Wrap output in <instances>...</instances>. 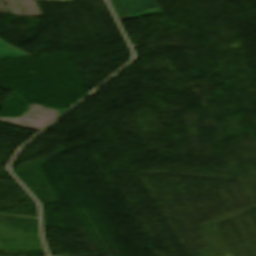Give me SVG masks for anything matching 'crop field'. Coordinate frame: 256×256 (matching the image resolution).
<instances>
[{
    "label": "crop field",
    "mask_w": 256,
    "mask_h": 256,
    "mask_svg": "<svg viewBox=\"0 0 256 256\" xmlns=\"http://www.w3.org/2000/svg\"><path fill=\"white\" fill-rule=\"evenodd\" d=\"M118 19L162 13L156 0H109Z\"/></svg>",
    "instance_id": "obj_1"
},
{
    "label": "crop field",
    "mask_w": 256,
    "mask_h": 256,
    "mask_svg": "<svg viewBox=\"0 0 256 256\" xmlns=\"http://www.w3.org/2000/svg\"><path fill=\"white\" fill-rule=\"evenodd\" d=\"M28 55L29 54L21 51L20 49L0 39V59L28 56Z\"/></svg>",
    "instance_id": "obj_2"
},
{
    "label": "crop field",
    "mask_w": 256,
    "mask_h": 256,
    "mask_svg": "<svg viewBox=\"0 0 256 256\" xmlns=\"http://www.w3.org/2000/svg\"><path fill=\"white\" fill-rule=\"evenodd\" d=\"M36 1L72 2V0H36Z\"/></svg>",
    "instance_id": "obj_3"
}]
</instances>
